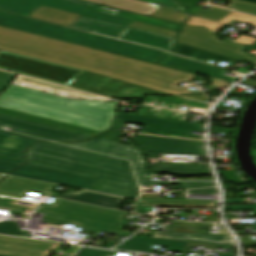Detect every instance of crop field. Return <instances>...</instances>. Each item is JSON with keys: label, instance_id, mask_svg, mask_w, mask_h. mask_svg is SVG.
Masks as SVG:
<instances>
[{"label": "crop field", "instance_id": "1", "mask_svg": "<svg viewBox=\"0 0 256 256\" xmlns=\"http://www.w3.org/2000/svg\"><path fill=\"white\" fill-rule=\"evenodd\" d=\"M27 165L98 179L91 191L137 199L140 189L126 160L42 142L28 151Z\"/></svg>", "mask_w": 256, "mask_h": 256}, {"label": "crop field", "instance_id": "2", "mask_svg": "<svg viewBox=\"0 0 256 256\" xmlns=\"http://www.w3.org/2000/svg\"><path fill=\"white\" fill-rule=\"evenodd\" d=\"M118 102L71 100L10 84L0 95V107L96 131L108 129Z\"/></svg>", "mask_w": 256, "mask_h": 256}, {"label": "crop field", "instance_id": "3", "mask_svg": "<svg viewBox=\"0 0 256 256\" xmlns=\"http://www.w3.org/2000/svg\"><path fill=\"white\" fill-rule=\"evenodd\" d=\"M0 38L57 51L125 69L141 72L170 83L189 81L195 74L164 68L119 55L63 42L46 37L0 27ZM191 81V80H190Z\"/></svg>", "mask_w": 256, "mask_h": 256}, {"label": "crop field", "instance_id": "4", "mask_svg": "<svg viewBox=\"0 0 256 256\" xmlns=\"http://www.w3.org/2000/svg\"><path fill=\"white\" fill-rule=\"evenodd\" d=\"M0 24L88 45L154 63L159 62L167 54V52L164 51L68 29L1 11Z\"/></svg>", "mask_w": 256, "mask_h": 256}, {"label": "crop field", "instance_id": "5", "mask_svg": "<svg viewBox=\"0 0 256 256\" xmlns=\"http://www.w3.org/2000/svg\"><path fill=\"white\" fill-rule=\"evenodd\" d=\"M41 5L82 15L71 27L119 38L131 20L94 11L98 5L77 0H0V10L29 16Z\"/></svg>", "mask_w": 256, "mask_h": 256}, {"label": "crop field", "instance_id": "6", "mask_svg": "<svg viewBox=\"0 0 256 256\" xmlns=\"http://www.w3.org/2000/svg\"><path fill=\"white\" fill-rule=\"evenodd\" d=\"M58 207L37 203L18 201L0 197V209L34 214L49 215L73 221L71 224L91 233L104 232L125 236L130 233L114 230L118 224L124 225L126 212L107 209L103 215L79 211L84 204L57 199L54 203Z\"/></svg>", "mask_w": 256, "mask_h": 256}, {"label": "crop field", "instance_id": "7", "mask_svg": "<svg viewBox=\"0 0 256 256\" xmlns=\"http://www.w3.org/2000/svg\"><path fill=\"white\" fill-rule=\"evenodd\" d=\"M0 49L83 70H89L170 95L197 94L138 72L0 39Z\"/></svg>", "mask_w": 256, "mask_h": 256}, {"label": "crop field", "instance_id": "8", "mask_svg": "<svg viewBox=\"0 0 256 256\" xmlns=\"http://www.w3.org/2000/svg\"><path fill=\"white\" fill-rule=\"evenodd\" d=\"M0 69L68 86L83 70L0 50Z\"/></svg>", "mask_w": 256, "mask_h": 256}, {"label": "crop field", "instance_id": "9", "mask_svg": "<svg viewBox=\"0 0 256 256\" xmlns=\"http://www.w3.org/2000/svg\"><path fill=\"white\" fill-rule=\"evenodd\" d=\"M69 87L110 98H143L144 94L168 96L160 92L87 71Z\"/></svg>", "mask_w": 256, "mask_h": 256}, {"label": "crop field", "instance_id": "10", "mask_svg": "<svg viewBox=\"0 0 256 256\" xmlns=\"http://www.w3.org/2000/svg\"><path fill=\"white\" fill-rule=\"evenodd\" d=\"M177 42L219 55L256 64L251 54L241 52L246 46L218 40V36L204 26L185 25Z\"/></svg>", "mask_w": 256, "mask_h": 256}, {"label": "crop field", "instance_id": "11", "mask_svg": "<svg viewBox=\"0 0 256 256\" xmlns=\"http://www.w3.org/2000/svg\"><path fill=\"white\" fill-rule=\"evenodd\" d=\"M113 121L145 124L140 131L143 134L203 140V137L188 135L191 130L203 131L204 125L202 124L121 113H115Z\"/></svg>", "mask_w": 256, "mask_h": 256}, {"label": "crop field", "instance_id": "12", "mask_svg": "<svg viewBox=\"0 0 256 256\" xmlns=\"http://www.w3.org/2000/svg\"><path fill=\"white\" fill-rule=\"evenodd\" d=\"M124 159H130L135 167L139 180L151 181V178H157L156 174L145 171L147 163L137 147H132L122 143L95 138L83 143H65Z\"/></svg>", "mask_w": 256, "mask_h": 256}, {"label": "crop field", "instance_id": "13", "mask_svg": "<svg viewBox=\"0 0 256 256\" xmlns=\"http://www.w3.org/2000/svg\"><path fill=\"white\" fill-rule=\"evenodd\" d=\"M0 126L14 129L13 131L25 135L51 140L57 143L84 141L91 136L38 124L0 114Z\"/></svg>", "mask_w": 256, "mask_h": 256}, {"label": "crop field", "instance_id": "14", "mask_svg": "<svg viewBox=\"0 0 256 256\" xmlns=\"http://www.w3.org/2000/svg\"><path fill=\"white\" fill-rule=\"evenodd\" d=\"M147 157H160L161 153L206 155L203 142L137 135L134 138Z\"/></svg>", "mask_w": 256, "mask_h": 256}, {"label": "crop field", "instance_id": "15", "mask_svg": "<svg viewBox=\"0 0 256 256\" xmlns=\"http://www.w3.org/2000/svg\"><path fill=\"white\" fill-rule=\"evenodd\" d=\"M10 175L89 190L95 179L24 165Z\"/></svg>", "mask_w": 256, "mask_h": 256}, {"label": "crop field", "instance_id": "16", "mask_svg": "<svg viewBox=\"0 0 256 256\" xmlns=\"http://www.w3.org/2000/svg\"><path fill=\"white\" fill-rule=\"evenodd\" d=\"M61 244L0 236V256H47Z\"/></svg>", "mask_w": 256, "mask_h": 256}, {"label": "crop field", "instance_id": "17", "mask_svg": "<svg viewBox=\"0 0 256 256\" xmlns=\"http://www.w3.org/2000/svg\"><path fill=\"white\" fill-rule=\"evenodd\" d=\"M40 141L0 130V160L23 164L26 151Z\"/></svg>", "mask_w": 256, "mask_h": 256}, {"label": "crop field", "instance_id": "18", "mask_svg": "<svg viewBox=\"0 0 256 256\" xmlns=\"http://www.w3.org/2000/svg\"><path fill=\"white\" fill-rule=\"evenodd\" d=\"M161 64L204 74L210 75L212 77L228 81L230 83L234 82L238 78H232L226 75H223L226 70L213 67L212 65L202 64L195 61H191L185 58H181L175 55L169 54L163 61L160 62Z\"/></svg>", "mask_w": 256, "mask_h": 256}, {"label": "crop field", "instance_id": "19", "mask_svg": "<svg viewBox=\"0 0 256 256\" xmlns=\"http://www.w3.org/2000/svg\"><path fill=\"white\" fill-rule=\"evenodd\" d=\"M35 182L6 176L0 182V196L21 200L29 191L57 198L60 194L31 188Z\"/></svg>", "mask_w": 256, "mask_h": 256}, {"label": "crop field", "instance_id": "20", "mask_svg": "<svg viewBox=\"0 0 256 256\" xmlns=\"http://www.w3.org/2000/svg\"><path fill=\"white\" fill-rule=\"evenodd\" d=\"M120 39L171 51L174 38L128 27Z\"/></svg>", "mask_w": 256, "mask_h": 256}, {"label": "crop field", "instance_id": "21", "mask_svg": "<svg viewBox=\"0 0 256 256\" xmlns=\"http://www.w3.org/2000/svg\"><path fill=\"white\" fill-rule=\"evenodd\" d=\"M151 237L161 238V239H169V240H177V241L217 244V245L235 247L233 240L230 236L158 231L157 233L153 234Z\"/></svg>", "mask_w": 256, "mask_h": 256}, {"label": "crop field", "instance_id": "22", "mask_svg": "<svg viewBox=\"0 0 256 256\" xmlns=\"http://www.w3.org/2000/svg\"><path fill=\"white\" fill-rule=\"evenodd\" d=\"M13 84L29 87L32 89L48 92L51 94H55V95H59V96H63L71 99H104L97 96L85 94L82 92L74 91L71 89L47 84L44 82H40V81H36V80H32V79H28L20 76H18L15 79Z\"/></svg>", "mask_w": 256, "mask_h": 256}, {"label": "crop field", "instance_id": "23", "mask_svg": "<svg viewBox=\"0 0 256 256\" xmlns=\"http://www.w3.org/2000/svg\"><path fill=\"white\" fill-rule=\"evenodd\" d=\"M58 198L115 209H118V207L124 201V199L121 198H114L86 191L65 193L60 195Z\"/></svg>", "mask_w": 256, "mask_h": 256}, {"label": "crop field", "instance_id": "24", "mask_svg": "<svg viewBox=\"0 0 256 256\" xmlns=\"http://www.w3.org/2000/svg\"><path fill=\"white\" fill-rule=\"evenodd\" d=\"M105 6L150 16L161 7L138 0H86Z\"/></svg>", "mask_w": 256, "mask_h": 256}, {"label": "crop field", "instance_id": "25", "mask_svg": "<svg viewBox=\"0 0 256 256\" xmlns=\"http://www.w3.org/2000/svg\"><path fill=\"white\" fill-rule=\"evenodd\" d=\"M143 104L171 108V109H176L180 107H185L189 109H191L192 107L208 109L209 107L207 105L199 104L194 101H190L180 97L162 98V97L147 96L145 97Z\"/></svg>", "mask_w": 256, "mask_h": 256}, {"label": "crop field", "instance_id": "26", "mask_svg": "<svg viewBox=\"0 0 256 256\" xmlns=\"http://www.w3.org/2000/svg\"><path fill=\"white\" fill-rule=\"evenodd\" d=\"M31 17L59 23L65 26L70 27L80 16L43 7L41 6L39 9H37L33 14L30 15Z\"/></svg>", "mask_w": 256, "mask_h": 256}, {"label": "crop field", "instance_id": "27", "mask_svg": "<svg viewBox=\"0 0 256 256\" xmlns=\"http://www.w3.org/2000/svg\"><path fill=\"white\" fill-rule=\"evenodd\" d=\"M150 169L158 172L171 171L178 175L210 174L208 165L153 164Z\"/></svg>", "mask_w": 256, "mask_h": 256}, {"label": "crop field", "instance_id": "28", "mask_svg": "<svg viewBox=\"0 0 256 256\" xmlns=\"http://www.w3.org/2000/svg\"><path fill=\"white\" fill-rule=\"evenodd\" d=\"M217 201L141 199L138 206L216 207Z\"/></svg>", "mask_w": 256, "mask_h": 256}, {"label": "crop field", "instance_id": "29", "mask_svg": "<svg viewBox=\"0 0 256 256\" xmlns=\"http://www.w3.org/2000/svg\"><path fill=\"white\" fill-rule=\"evenodd\" d=\"M174 53H178L181 55H185L191 58H195L201 61H209V60H218V61H223V62H228L235 64L238 62V60L230 59L227 57L219 56L216 54H212L206 51H202L196 48H192L186 45H182L177 43L175 49L173 50Z\"/></svg>", "mask_w": 256, "mask_h": 256}, {"label": "crop field", "instance_id": "30", "mask_svg": "<svg viewBox=\"0 0 256 256\" xmlns=\"http://www.w3.org/2000/svg\"><path fill=\"white\" fill-rule=\"evenodd\" d=\"M170 243L171 241L169 240L133 237L128 241L124 242L123 244H121L120 246L126 247L124 250H128V251H140V252L153 253L154 251L150 250L152 244L169 246Z\"/></svg>", "mask_w": 256, "mask_h": 256}, {"label": "crop field", "instance_id": "31", "mask_svg": "<svg viewBox=\"0 0 256 256\" xmlns=\"http://www.w3.org/2000/svg\"><path fill=\"white\" fill-rule=\"evenodd\" d=\"M137 114L170 119V120H180V121H187V117H188L186 113H180V112H174V111H168V110H162V109H156V108H150V107H144V106H140Z\"/></svg>", "mask_w": 256, "mask_h": 256}, {"label": "crop field", "instance_id": "32", "mask_svg": "<svg viewBox=\"0 0 256 256\" xmlns=\"http://www.w3.org/2000/svg\"><path fill=\"white\" fill-rule=\"evenodd\" d=\"M233 11L211 6L208 10H201L196 17L219 22Z\"/></svg>", "mask_w": 256, "mask_h": 256}, {"label": "crop field", "instance_id": "33", "mask_svg": "<svg viewBox=\"0 0 256 256\" xmlns=\"http://www.w3.org/2000/svg\"><path fill=\"white\" fill-rule=\"evenodd\" d=\"M141 185H163L175 184L180 185V189L203 188L215 186L214 182H145L139 181Z\"/></svg>", "mask_w": 256, "mask_h": 256}, {"label": "crop field", "instance_id": "34", "mask_svg": "<svg viewBox=\"0 0 256 256\" xmlns=\"http://www.w3.org/2000/svg\"><path fill=\"white\" fill-rule=\"evenodd\" d=\"M152 17L169 20L177 23H183L188 18V16H184L164 8L157 11L155 14L152 15Z\"/></svg>", "mask_w": 256, "mask_h": 256}, {"label": "crop field", "instance_id": "35", "mask_svg": "<svg viewBox=\"0 0 256 256\" xmlns=\"http://www.w3.org/2000/svg\"><path fill=\"white\" fill-rule=\"evenodd\" d=\"M227 1H231L226 6L227 8H231V9H235V10H239V11H243V12H247V13L256 15V4L239 1V0H227ZM209 3H211V2H209ZM211 4H214V3H211ZM215 5H218V4H215ZM219 6H221V5H219Z\"/></svg>", "mask_w": 256, "mask_h": 256}, {"label": "crop field", "instance_id": "36", "mask_svg": "<svg viewBox=\"0 0 256 256\" xmlns=\"http://www.w3.org/2000/svg\"><path fill=\"white\" fill-rule=\"evenodd\" d=\"M0 234L25 237L24 233L20 231L16 221L1 222Z\"/></svg>", "mask_w": 256, "mask_h": 256}, {"label": "crop field", "instance_id": "37", "mask_svg": "<svg viewBox=\"0 0 256 256\" xmlns=\"http://www.w3.org/2000/svg\"><path fill=\"white\" fill-rule=\"evenodd\" d=\"M130 26L131 27H135V28H139V29H143V30H147V31H151V32H154V33H158V34L174 37V38L177 35V32L165 30V29H162V28L150 26V25L139 23V22H135V21H132Z\"/></svg>", "mask_w": 256, "mask_h": 256}, {"label": "crop field", "instance_id": "38", "mask_svg": "<svg viewBox=\"0 0 256 256\" xmlns=\"http://www.w3.org/2000/svg\"><path fill=\"white\" fill-rule=\"evenodd\" d=\"M233 19L254 24L253 27H256V17L237 13V12L231 13L229 16L223 19L220 23L227 24Z\"/></svg>", "mask_w": 256, "mask_h": 256}, {"label": "crop field", "instance_id": "39", "mask_svg": "<svg viewBox=\"0 0 256 256\" xmlns=\"http://www.w3.org/2000/svg\"><path fill=\"white\" fill-rule=\"evenodd\" d=\"M189 25H204L207 27L209 30H211L213 33H218V30L223 27L224 25L208 22V21H203V20H198L191 18L189 22L187 23Z\"/></svg>", "mask_w": 256, "mask_h": 256}, {"label": "crop field", "instance_id": "40", "mask_svg": "<svg viewBox=\"0 0 256 256\" xmlns=\"http://www.w3.org/2000/svg\"><path fill=\"white\" fill-rule=\"evenodd\" d=\"M145 1H148V2H154V1H158V2H162V3H165V7L167 8H170V9H173V10H176V11H179V12H182V13H185V14H189L190 13L185 10L178 2H176L175 0H145Z\"/></svg>", "mask_w": 256, "mask_h": 256}, {"label": "crop field", "instance_id": "41", "mask_svg": "<svg viewBox=\"0 0 256 256\" xmlns=\"http://www.w3.org/2000/svg\"><path fill=\"white\" fill-rule=\"evenodd\" d=\"M112 251H104V250H96V249H88V248H82L77 256H101L106 253H110Z\"/></svg>", "mask_w": 256, "mask_h": 256}, {"label": "crop field", "instance_id": "42", "mask_svg": "<svg viewBox=\"0 0 256 256\" xmlns=\"http://www.w3.org/2000/svg\"><path fill=\"white\" fill-rule=\"evenodd\" d=\"M18 166H20V164L0 161V173L6 174Z\"/></svg>", "mask_w": 256, "mask_h": 256}, {"label": "crop field", "instance_id": "43", "mask_svg": "<svg viewBox=\"0 0 256 256\" xmlns=\"http://www.w3.org/2000/svg\"><path fill=\"white\" fill-rule=\"evenodd\" d=\"M14 77L15 75L0 72V91H2Z\"/></svg>", "mask_w": 256, "mask_h": 256}, {"label": "crop field", "instance_id": "44", "mask_svg": "<svg viewBox=\"0 0 256 256\" xmlns=\"http://www.w3.org/2000/svg\"><path fill=\"white\" fill-rule=\"evenodd\" d=\"M234 42L235 43H240V44H245V45L253 46L256 43V39L242 35L241 37H239Z\"/></svg>", "mask_w": 256, "mask_h": 256}, {"label": "crop field", "instance_id": "45", "mask_svg": "<svg viewBox=\"0 0 256 256\" xmlns=\"http://www.w3.org/2000/svg\"><path fill=\"white\" fill-rule=\"evenodd\" d=\"M82 211H88V212H94V213H100L103 214L106 210L105 208H99L94 206H88L86 205L84 208L81 209Z\"/></svg>", "mask_w": 256, "mask_h": 256}, {"label": "crop field", "instance_id": "46", "mask_svg": "<svg viewBox=\"0 0 256 256\" xmlns=\"http://www.w3.org/2000/svg\"><path fill=\"white\" fill-rule=\"evenodd\" d=\"M188 243L172 241L168 248L185 250Z\"/></svg>", "mask_w": 256, "mask_h": 256}, {"label": "crop field", "instance_id": "47", "mask_svg": "<svg viewBox=\"0 0 256 256\" xmlns=\"http://www.w3.org/2000/svg\"><path fill=\"white\" fill-rule=\"evenodd\" d=\"M33 187L34 188H39V189H45V190L52 191V189L57 187V185H51V184H45V183L36 182Z\"/></svg>", "mask_w": 256, "mask_h": 256}, {"label": "crop field", "instance_id": "48", "mask_svg": "<svg viewBox=\"0 0 256 256\" xmlns=\"http://www.w3.org/2000/svg\"><path fill=\"white\" fill-rule=\"evenodd\" d=\"M182 5H184L186 8L194 7L198 1L195 0H178Z\"/></svg>", "mask_w": 256, "mask_h": 256}, {"label": "crop field", "instance_id": "49", "mask_svg": "<svg viewBox=\"0 0 256 256\" xmlns=\"http://www.w3.org/2000/svg\"><path fill=\"white\" fill-rule=\"evenodd\" d=\"M235 209H256V205L224 207V210H235Z\"/></svg>", "mask_w": 256, "mask_h": 256}, {"label": "crop field", "instance_id": "50", "mask_svg": "<svg viewBox=\"0 0 256 256\" xmlns=\"http://www.w3.org/2000/svg\"><path fill=\"white\" fill-rule=\"evenodd\" d=\"M238 203H246L245 198L225 199V204H238Z\"/></svg>", "mask_w": 256, "mask_h": 256}, {"label": "crop field", "instance_id": "51", "mask_svg": "<svg viewBox=\"0 0 256 256\" xmlns=\"http://www.w3.org/2000/svg\"><path fill=\"white\" fill-rule=\"evenodd\" d=\"M184 98L194 100V101H199V100H207L210 99L209 97H206L204 95H196V96H184Z\"/></svg>", "mask_w": 256, "mask_h": 256}, {"label": "crop field", "instance_id": "52", "mask_svg": "<svg viewBox=\"0 0 256 256\" xmlns=\"http://www.w3.org/2000/svg\"><path fill=\"white\" fill-rule=\"evenodd\" d=\"M116 243H108L107 245H105L104 247L102 248H111L115 245Z\"/></svg>", "mask_w": 256, "mask_h": 256}, {"label": "crop field", "instance_id": "53", "mask_svg": "<svg viewBox=\"0 0 256 256\" xmlns=\"http://www.w3.org/2000/svg\"><path fill=\"white\" fill-rule=\"evenodd\" d=\"M244 1L256 3V0H244Z\"/></svg>", "mask_w": 256, "mask_h": 256}, {"label": "crop field", "instance_id": "54", "mask_svg": "<svg viewBox=\"0 0 256 256\" xmlns=\"http://www.w3.org/2000/svg\"><path fill=\"white\" fill-rule=\"evenodd\" d=\"M222 256H234V255H229V254H222Z\"/></svg>", "mask_w": 256, "mask_h": 256}, {"label": "crop field", "instance_id": "55", "mask_svg": "<svg viewBox=\"0 0 256 256\" xmlns=\"http://www.w3.org/2000/svg\"><path fill=\"white\" fill-rule=\"evenodd\" d=\"M3 177V175H0V179Z\"/></svg>", "mask_w": 256, "mask_h": 256}, {"label": "crop field", "instance_id": "56", "mask_svg": "<svg viewBox=\"0 0 256 256\" xmlns=\"http://www.w3.org/2000/svg\"><path fill=\"white\" fill-rule=\"evenodd\" d=\"M64 256H69V255H64Z\"/></svg>", "mask_w": 256, "mask_h": 256}, {"label": "crop field", "instance_id": "57", "mask_svg": "<svg viewBox=\"0 0 256 256\" xmlns=\"http://www.w3.org/2000/svg\"><path fill=\"white\" fill-rule=\"evenodd\" d=\"M198 1H200V0H198ZM203 1H206V0H203Z\"/></svg>", "mask_w": 256, "mask_h": 256}, {"label": "crop field", "instance_id": "58", "mask_svg": "<svg viewBox=\"0 0 256 256\" xmlns=\"http://www.w3.org/2000/svg\"><path fill=\"white\" fill-rule=\"evenodd\" d=\"M2 92H0V94H1Z\"/></svg>", "mask_w": 256, "mask_h": 256}]
</instances>
